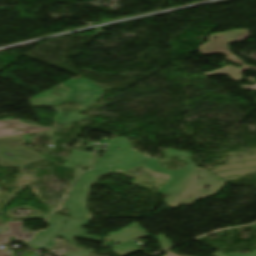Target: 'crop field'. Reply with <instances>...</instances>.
<instances>
[{
  "mask_svg": "<svg viewBox=\"0 0 256 256\" xmlns=\"http://www.w3.org/2000/svg\"><path fill=\"white\" fill-rule=\"evenodd\" d=\"M116 148H120L117 150ZM167 154L182 156L188 159V165L181 170H166L158 160L150 159L137 150L130 149L127 139H111L103 156L96 158L90 171L84 172L73 187L64 204L68 207L73 218H91L87 211L86 200L89 187L98 177L106 173H117L118 170L126 172L138 166H143L153 172L170 175L169 181L159 190L160 193L170 195L177 186L197 167L190 160L192 154L167 148ZM171 189L170 191H168Z\"/></svg>",
  "mask_w": 256,
  "mask_h": 256,
  "instance_id": "crop-field-1",
  "label": "crop field"
},
{
  "mask_svg": "<svg viewBox=\"0 0 256 256\" xmlns=\"http://www.w3.org/2000/svg\"><path fill=\"white\" fill-rule=\"evenodd\" d=\"M66 86L72 88L71 92L67 91H56L49 90L37 97L31 103L32 107H55L65 103L66 101H73L81 103L84 105L83 109L80 111H87L94 103L98 101L99 98L104 95V88L96 86V83L85 78L78 80H69L65 82ZM53 92L63 94V97L56 96L52 94ZM48 99H52L49 101ZM75 113H58L55 122L61 123L64 126L68 123L80 121L84 119H89L90 117ZM65 114H69L67 117H64ZM80 118V120H77Z\"/></svg>",
  "mask_w": 256,
  "mask_h": 256,
  "instance_id": "crop-field-2",
  "label": "crop field"
},
{
  "mask_svg": "<svg viewBox=\"0 0 256 256\" xmlns=\"http://www.w3.org/2000/svg\"><path fill=\"white\" fill-rule=\"evenodd\" d=\"M214 36H216L219 40L214 41L213 40ZM247 38H250V35L247 29L232 30L224 33L209 35L208 37L209 42L199 47L202 54L208 55L213 53H224L227 56L226 60L242 65V68L239 69L229 65V66H224V69L215 70L214 72H211V73H205V75L210 76V75L223 74V75L230 76L234 81H238L242 79L240 74L242 70H248L249 68L256 70V67L248 66L244 64L241 59L233 56L226 45L228 43H232L236 41H243Z\"/></svg>",
  "mask_w": 256,
  "mask_h": 256,
  "instance_id": "crop-field-3",
  "label": "crop field"
},
{
  "mask_svg": "<svg viewBox=\"0 0 256 256\" xmlns=\"http://www.w3.org/2000/svg\"><path fill=\"white\" fill-rule=\"evenodd\" d=\"M21 136L0 139V166L24 167L44 160L42 155L23 147Z\"/></svg>",
  "mask_w": 256,
  "mask_h": 256,
  "instance_id": "crop-field-4",
  "label": "crop field"
},
{
  "mask_svg": "<svg viewBox=\"0 0 256 256\" xmlns=\"http://www.w3.org/2000/svg\"><path fill=\"white\" fill-rule=\"evenodd\" d=\"M70 217L51 216L46 220L49 228L38 232L35 237L29 242L31 248H41L46 246L54 235L64 226Z\"/></svg>",
  "mask_w": 256,
  "mask_h": 256,
  "instance_id": "crop-field-5",
  "label": "crop field"
},
{
  "mask_svg": "<svg viewBox=\"0 0 256 256\" xmlns=\"http://www.w3.org/2000/svg\"><path fill=\"white\" fill-rule=\"evenodd\" d=\"M9 230L0 234V244H8L10 242V236H14L15 239L29 240L34 233L31 230L23 232V221H7ZM0 256H11L3 249L0 250Z\"/></svg>",
  "mask_w": 256,
  "mask_h": 256,
  "instance_id": "crop-field-6",
  "label": "crop field"
},
{
  "mask_svg": "<svg viewBox=\"0 0 256 256\" xmlns=\"http://www.w3.org/2000/svg\"><path fill=\"white\" fill-rule=\"evenodd\" d=\"M7 129H14V130H16V132L15 133H7L5 131ZM48 130H51V129L41 128V127H36V126H31V125H25L17 120L0 121V137L40 132V131H48Z\"/></svg>",
  "mask_w": 256,
  "mask_h": 256,
  "instance_id": "crop-field-7",
  "label": "crop field"
},
{
  "mask_svg": "<svg viewBox=\"0 0 256 256\" xmlns=\"http://www.w3.org/2000/svg\"><path fill=\"white\" fill-rule=\"evenodd\" d=\"M95 158V154L78 151H73L72 155L68 158V160L64 163L63 166L68 167H77L78 165L82 164L84 166L91 165Z\"/></svg>",
  "mask_w": 256,
  "mask_h": 256,
  "instance_id": "crop-field-8",
  "label": "crop field"
},
{
  "mask_svg": "<svg viewBox=\"0 0 256 256\" xmlns=\"http://www.w3.org/2000/svg\"><path fill=\"white\" fill-rule=\"evenodd\" d=\"M56 236H60L64 238L66 241H68L72 245H79L73 240L72 237H79V238H86V239L95 240V241H101L100 238L85 235V232L59 231L56 234Z\"/></svg>",
  "mask_w": 256,
  "mask_h": 256,
  "instance_id": "crop-field-9",
  "label": "crop field"
},
{
  "mask_svg": "<svg viewBox=\"0 0 256 256\" xmlns=\"http://www.w3.org/2000/svg\"><path fill=\"white\" fill-rule=\"evenodd\" d=\"M112 249L119 256H126L141 251L132 241L122 242L121 245L116 247L112 245Z\"/></svg>",
  "mask_w": 256,
  "mask_h": 256,
  "instance_id": "crop-field-10",
  "label": "crop field"
},
{
  "mask_svg": "<svg viewBox=\"0 0 256 256\" xmlns=\"http://www.w3.org/2000/svg\"><path fill=\"white\" fill-rule=\"evenodd\" d=\"M90 221V219H71L61 230L85 231L81 225H88Z\"/></svg>",
  "mask_w": 256,
  "mask_h": 256,
  "instance_id": "crop-field-11",
  "label": "crop field"
},
{
  "mask_svg": "<svg viewBox=\"0 0 256 256\" xmlns=\"http://www.w3.org/2000/svg\"><path fill=\"white\" fill-rule=\"evenodd\" d=\"M162 248H167L169 246H172V243L170 240L166 239L164 235L157 236Z\"/></svg>",
  "mask_w": 256,
  "mask_h": 256,
  "instance_id": "crop-field-12",
  "label": "crop field"
},
{
  "mask_svg": "<svg viewBox=\"0 0 256 256\" xmlns=\"http://www.w3.org/2000/svg\"><path fill=\"white\" fill-rule=\"evenodd\" d=\"M227 255H229V256H256V251H251L248 254H241L240 252H236V253H228Z\"/></svg>",
  "mask_w": 256,
  "mask_h": 256,
  "instance_id": "crop-field-13",
  "label": "crop field"
},
{
  "mask_svg": "<svg viewBox=\"0 0 256 256\" xmlns=\"http://www.w3.org/2000/svg\"><path fill=\"white\" fill-rule=\"evenodd\" d=\"M93 251L91 249H88V250H85V251H81V252H78V253H75V254H72V255H69V256H83V255H87L89 253H92Z\"/></svg>",
  "mask_w": 256,
  "mask_h": 256,
  "instance_id": "crop-field-14",
  "label": "crop field"
},
{
  "mask_svg": "<svg viewBox=\"0 0 256 256\" xmlns=\"http://www.w3.org/2000/svg\"><path fill=\"white\" fill-rule=\"evenodd\" d=\"M164 252L168 253V254H166V255H164V256H178V255L172 253V252L169 251V250H166V251H164Z\"/></svg>",
  "mask_w": 256,
  "mask_h": 256,
  "instance_id": "crop-field-15",
  "label": "crop field"
},
{
  "mask_svg": "<svg viewBox=\"0 0 256 256\" xmlns=\"http://www.w3.org/2000/svg\"><path fill=\"white\" fill-rule=\"evenodd\" d=\"M242 87L245 88V89H255L256 90V85H254V86L242 85Z\"/></svg>",
  "mask_w": 256,
  "mask_h": 256,
  "instance_id": "crop-field-16",
  "label": "crop field"
},
{
  "mask_svg": "<svg viewBox=\"0 0 256 256\" xmlns=\"http://www.w3.org/2000/svg\"><path fill=\"white\" fill-rule=\"evenodd\" d=\"M8 132H15V131H13V130H7Z\"/></svg>",
  "mask_w": 256,
  "mask_h": 256,
  "instance_id": "crop-field-17",
  "label": "crop field"
}]
</instances>
